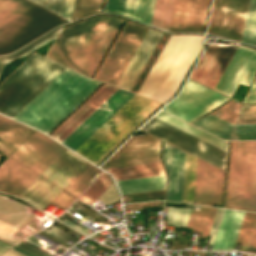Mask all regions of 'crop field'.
<instances>
[{"mask_svg": "<svg viewBox=\"0 0 256 256\" xmlns=\"http://www.w3.org/2000/svg\"><path fill=\"white\" fill-rule=\"evenodd\" d=\"M99 84L66 68L13 119L47 134Z\"/></svg>", "mask_w": 256, "mask_h": 256, "instance_id": "crop-field-1", "label": "crop field"}, {"mask_svg": "<svg viewBox=\"0 0 256 256\" xmlns=\"http://www.w3.org/2000/svg\"><path fill=\"white\" fill-rule=\"evenodd\" d=\"M203 37L170 36L138 94L161 101L174 96L202 48ZM166 98L167 102L172 97Z\"/></svg>", "mask_w": 256, "mask_h": 256, "instance_id": "crop-field-2", "label": "crop field"}, {"mask_svg": "<svg viewBox=\"0 0 256 256\" xmlns=\"http://www.w3.org/2000/svg\"><path fill=\"white\" fill-rule=\"evenodd\" d=\"M64 149L35 131L0 166V191L18 197Z\"/></svg>", "mask_w": 256, "mask_h": 256, "instance_id": "crop-field-3", "label": "crop field"}, {"mask_svg": "<svg viewBox=\"0 0 256 256\" xmlns=\"http://www.w3.org/2000/svg\"><path fill=\"white\" fill-rule=\"evenodd\" d=\"M64 69L33 54L0 85V113L12 118Z\"/></svg>", "mask_w": 256, "mask_h": 256, "instance_id": "crop-field-4", "label": "crop field"}, {"mask_svg": "<svg viewBox=\"0 0 256 256\" xmlns=\"http://www.w3.org/2000/svg\"><path fill=\"white\" fill-rule=\"evenodd\" d=\"M122 23L112 16L83 21L60 63L91 77Z\"/></svg>", "mask_w": 256, "mask_h": 256, "instance_id": "crop-field-5", "label": "crop field"}, {"mask_svg": "<svg viewBox=\"0 0 256 256\" xmlns=\"http://www.w3.org/2000/svg\"><path fill=\"white\" fill-rule=\"evenodd\" d=\"M158 104L135 95L75 152L95 164Z\"/></svg>", "mask_w": 256, "mask_h": 256, "instance_id": "crop-field-6", "label": "crop field"}, {"mask_svg": "<svg viewBox=\"0 0 256 256\" xmlns=\"http://www.w3.org/2000/svg\"><path fill=\"white\" fill-rule=\"evenodd\" d=\"M225 207L256 211V141L232 142Z\"/></svg>", "mask_w": 256, "mask_h": 256, "instance_id": "crop-field-7", "label": "crop field"}, {"mask_svg": "<svg viewBox=\"0 0 256 256\" xmlns=\"http://www.w3.org/2000/svg\"><path fill=\"white\" fill-rule=\"evenodd\" d=\"M88 164L65 149L19 197L43 210Z\"/></svg>", "mask_w": 256, "mask_h": 256, "instance_id": "crop-field-8", "label": "crop field"}, {"mask_svg": "<svg viewBox=\"0 0 256 256\" xmlns=\"http://www.w3.org/2000/svg\"><path fill=\"white\" fill-rule=\"evenodd\" d=\"M66 20L34 6L0 26V55L10 53Z\"/></svg>", "mask_w": 256, "mask_h": 256, "instance_id": "crop-field-9", "label": "crop field"}, {"mask_svg": "<svg viewBox=\"0 0 256 256\" xmlns=\"http://www.w3.org/2000/svg\"><path fill=\"white\" fill-rule=\"evenodd\" d=\"M148 28L126 21L95 79L116 86Z\"/></svg>", "mask_w": 256, "mask_h": 256, "instance_id": "crop-field-10", "label": "crop field"}, {"mask_svg": "<svg viewBox=\"0 0 256 256\" xmlns=\"http://www.w3.org/2000/svg\"><path fill=\"white\" fill-rule=\"evenodd\" d=\"M227 99L188 79L180 95L162 110L191 122Z\"/></svg>", "mask_w": 256, "mask_h": 256, "instance_id": "crop-field-11", "label": "crop field"}, {"mask_svg": "<svg viewBox=\"0 0 256 256\" xmlns=\"http://www.w3.org/2000/svg\"><path fill=\"white\" fill-rule=\"evenodd\" d=\"M249 0H214L207 33L241 40Z\"/></svg>", "mask_w": 256, "mask_h": 256, "instance_id": "crop-field-12", "label": "crop field"}, {"mask_svg": "<svg viewBox=\"0 0 256 256\" xmlns=\"http://www.w3.org/2000/svg\"><path fill=\"white\" fill-rule=\"evenodd\" d=\"M159 140L147 135L130 137L102 166V169L160 162Z\"/></svg>", "mask_w": 256, "mask_h": 256, "instance_id": "crop-field-13", "label": "crop field"}, {"mask_svg": "<svg viewBox=\"0 0 256 256\" xmlns=\"http://www.w3.org/2000/svg\"><path fill=\"white\" fill-rule=\"evenodd\" d=\"M133 96L118 89L61 144L75 151Z\"/></svg>", "mask_w": 256, "mask_h": 256, "instance_id": "crop-field-14", "label": "crop field"}, {"mask_svg": "<svg viewBox=\"0 0 256 256\" xmlns=\"http://www.w3.org/2000/svg\"><path fill=\"white\" fill-rule=\"evenodd\" d=\"M256 75V50L238 46L215 90L231 97L238 83L250 86Z\"/></svg>", "mask_w": 256, "mask_h": 256, "instance_id": "crop-field-15", "label": "crop field"}, {"mask_svg": "<svg viewBox=\"0 0 256 256\" xmlns=\"http://www.w3.org/2000/svg\"><path fill=\"white\" fill-rule=\"evenodd\" d=\"M237 46L208 44L189 78L214 89Z\"/></svg>", "mask_w": 256, "mask_h": 256, "instance_id": "crop-field-16", "label": "crop field"}, {"mask_svg": "<svg viewBox=\"0 0 256 256\" xmlns=\"http://www.w3.org/2000/svg\"><path fill=\"white\" fill-rule=\"evenodd\" d=\"M209 0H175L170 32L203 33Z\"/></svg>", "mask_w": 256, "mask_h": 256, "instance_id": "crop-field-17", "label": "crop field"}, {"mask_svg": "<svg viewBox=\"0 0 256 256\" xmlns=\"http://www.w3.org/2000/svg\"><path fill=\"white\" fill-rule=\"evenodd\" d=\"M224 172L197 159L193 203L221 205Z\"/></svg>", "mask_w": 256, "mask_h": 256, "instance_id": "crop-field-18", "label": "crop field"}, {"mask_svg": "<svg viewBox=\"0 0 256 256\" xmlns=\"http://www.w3.org/2000/svg\"><path fill=\"white\" fill-rule=\"evenodd\" d=\"M116 90L117 88L105 84L50 136L61 143Z\"/></svg>", "mask_w": 256, "mask_h": 256, "instance_id": "crop-field-19", "label": "crop field"}, {"mask_svg": "<svg viewBox=\"0 0 256 256\" xmlns=\"http://www.w3.org/2000/svg\"><path fill=\"white\" fill-rule=\"evenodd\" d=\"M185 153L164 143L163 163L168 177L166 200L181 202Z\"/></svg>", "mask_w": 256, "mask_h": 256, "instance_id": "crop-field-20", "label": "crop field"}, {"mask_svg": "<svg viewBox=\"0 0 256 256\" xmlns=\"http://www.w3.org/2000/svg\"><path fill=\"white\" fill-rule=\"evenodd\" d=\"M192 124L224 140H256V125H231L211 114Z\"/></svg>", "mask_w": 256, "mask_h": 256, "instance_id": "crop-field-21", "label": "crop field"}, {"mask_svg": "<svg viewBox=\"0 0 256 256\" xmlns=\"http://www.w3.org/2000/svg\"><path fill=\"white\" fill-rule=\"evenodd\" d=\"M155 0H106L104 12H113L146 25L151 24Z\"/></svg>", "mask_w": 256, "mask_h": 256, "instance_id": "crop-field-22", "label": "crop field"}, {"mask_svg": "<svg viewBox=\"0 0 256 256\" xmlns=\"http://www.w3.org/2000/svg\"><path fill=\"white\" fill-rule=\"evenodd\" d=\"M245 212L225 210L211 250H232Z\"/></svg>", "mask_w": 256, "mask_h": 256, "instance_id": "crop-field-23", "label": "crop field"}, {"mask_svg": "<svg viewBox=\"0 0 256 256\" xmlns=\"http://www.w3.org/2000/svg\"><path fill=\"white\" fill-rule=\"evenodd\" d=\"M97 173L101 171L88 165L52 202L62 209H66L78 195L90 184L88 183Z\"/></svg>", "mask_w": 256, "mask_h": 256, "instance_id": "crop-field-24", "label": "crop field"}, {"mask_svg": "<svg viewBox=\"0 0 256 256\" xmlns=\"http://www.w3.org/2000/svg\"><path fill=\"white\" fill-rule=\"evenodd\" d=\"M32 132L33 130L9 120L0 129V151L9 157Z\"/></svg>", "mask_w": 256, "mask_h": 256, "instance_id": "crop-field-25", "label": "crop field"}, {"mask_svg": "<svg viewBox=\"0 0 256 256\" xmlns=\"http://www.w3.org/2000/svg\"><path fill=\"white\" fill-rule=\"evenodd\" d=\"M115 181L164 175L160 163L105 170Z\"/></svg>", "mask_w": 256, "mask_h": 256, "instance_id": "crop-field-26", "label": "crop field"}, {"mask_svg": "<svg viewBox=\"0 0 256 256\" xmlns=\"http://www.w3.org/2000/svg\"><path fill=\"white\" fill-rule=\"evenodd\" d=\"M156 116H158V117H160V118H162V119H164V120L182 128V129H184L188 132H191V133H193V134H195V135H197V136H199V137H201V138H203V139H205V140H207V141H209V142H211V143H213V144H215V145H217V146L226 150V146H227L226 142H224V141H222V140H220V139H218V138H216V137H214V136H212V135H210L206 132H203V131H201V130H199V129H197V128H195V127H193V126H191V125H189L185 122H182V121H180V120H178V119H176V118H174V117H172V116H170V115H168V114H166L162 111H159L156 114ZM156 116H154V118H156V119H158V120L176 128V129H178V130H180V131H182V132H184L188 135H191V136H193V137H195V138H197V139H199V140H201V141H203V142H205V143H207V144H209V145H211V146H213V147H215V148H217V149L226 153L225 150H223V149H221V148H219V147H217V146H215V145H213V144H211V143H209V142H207V141H205V140H203V139H201V138H199V137H197L193 134H190V133H188V132H186V131H184V130H182V129H180V128H178V127H176V126H174V125H172V124H170V123H168V122H166V121H164V120H162V119H160Z\"/></svg>", "mask_w": 256, "mask_h": 256, "instance_id": "crop-field-27", "label": "crop field"}, {"mask_svg": "<svg viewBox=\"0 0 256 256\" xmlns=\"http://www.w3.org/2000/svg\"><path fill=\"white\" fill-rule=\"evenodd\" d=\"M123 194L163 190L164 177H152L117 182Z\"/></svg>", "mask_w": 256, "mask_h": 256, "instance_id": "crop-field-28", "label": "crop field"}, {"mask_svg": "<svg viewBox=\"0 0 256 256\" xmlns=\"http://www.w3.org/2000/svg\"><path fill=\"white\" fill-rule=\"evenodd\" d=\"M217 209L193 206L187 227L198 229L202 237L208 236Z\"/></svg>", "mask_w": 256, "mask_h": 256, "instance_id": "crop-field-29", "label": "crop field"}, {"mask_svg": "<svg viewBox=\"0 0 256 256\" xmlns=\"http://www.w3.org/2000/svg\"><path fill=\"white\" fill-rule=\"evenodd\" d=\"M174 0H156L152 18V27L168 31Z\"/></svg>", "mask_w": 256, "mask_h": 256, "instance_id": "crop-field-30", "label": "crop field"}, {"mask_svg": "<svg viewBox=\"0 0 256 256\" xmlns=\"http://www.w3.org/2000/svg\"><path fill=\"white\" fill-rule=\"evenodd\" d=\"M34 5L27 0H0V25Z\"/></svg>", "mask_w": 256, "mask_h": 256, "instance_id": "crop-field-31", "label": "crop field"}, {"mask_svg": "<svg viewBox=\"0 0 256 256\" xmlns=\"http://www.w3.org/2000/svg\"><path fill=\"white\" fill-rule=\"evenodd\" d=\"M196 158L186 153L182 202L192 203Z\"/></svg>", "mask_w": 256, "mask_h": 256, "instance_id": "crop-field-32", "label": "crop field"}, {"mask_svg": "<svg viewBox=\"0 0 256 256\" xmlns=\"http://www.w3.org/2000/svg\"><path fill=\"white\" fill-rule=\"evenodd\" d=\"M111 184L109 176L103 173L78 199L91 205Z\"/></svg>", "mask_w": 256, "mask_h": 256, "instance_id": "crop-field-33", "label": "crop field"}, {"mask_svg": "<svg viewBox=\"0 0 256 256\" xmlns=\"http://www.w3.org/2000/svg\"><path fill=\"white\" fill-rule=\"evenodd\" d=\"M241 42L256 46V0H250Z\"/></svg>", "mask_w": 256, "mask_h": 256, "instance_id": "crop-field-34", "label": "crop field"}, {"mask_svg": "<svg viewBox=\"0 0 256 256\" xmlns=\"http://www.w3.org/2000/svg\"><path fill=\"white\" fill-rule=\"evenodd\" d=\"M191 209H181L169 207L167 211L166 223L176 227H185Z\"/></svg>", "mask_w": 256, "mask_h": 256, "instance_id": "crop-field-35", "label": "crop field"}, {"mask_svg": "<svg viewBox=\"0 0 256 256\" xmlns=\"http://www.w3.org/2000/svg\"><path fill=\"white\" fill-rule=\"evenodd\" d=\"M255 218H256V214L246 212L237 241H236L238 243H242L239 250H242V251L245 250Z\"/></svg>", "mask_w": 256, "mask_h": 256, "instance_id": "crop-field-36", "label": "crop field"}, {"mask_svg": "<svg viewBox=\"0 0 256 256\" xmlns=\"http://www.w3.org/2000/svg\"><path fill=\"white\" fill-rule=\"evenodd\" d=\"M75 25L76 24H73L62 29L61 33L59 34L58 38L56 39L55 43L51 47L46 57L55 61L56 57L58 56L60 50L62 49Z\"/></svg>", "mask_w": 256, "mask_h": 256, "instance_id": "crop-field-37", "label": "crop field"}, {"mask_svg": "<svg viewBox=\"0 0 256 256\" xmlns=\"http://www.w3.org/2000/svg\"><path fill=\"white\" fill-rule=\"evenodd\" d=\"M59 15L62 14L64 0H31Z\"/></svg>", "mask_w": 256, "mask_h": 256, "instance_id": "crop-field-38", "label": "crop field"}, {"mask_svg": "<svg viewBox=\"0 0 256 256\" xmlns=\"http://www.w3.org/2000/svg\"><path fill=\"white\" fill-rule=\"evenodd\" d=\"M103 0H75L74 7L101 10Z\"/></svg>", "mask_w": 256, "mask_h": 256, "instance_id": "crop-field-39", "label": "crop field"}, {"mask_svg": "<svg viewBox=\"0 0 256 256\" xmlns=\"http://www.w3.org/2000/svg\"><path fill=\"white\" fill-rule=\"evenodd\" d=\"M45 232H47V233L65 241V242H68V240L73 242V243H76V242L80 241V239H77V238L69 235L68 233L56 228L55 226L46 230Z\"/></svg>", "mask_w": 256, "mask_h": 256, "instance_id": "crop-field-40", "label": "crop field"}, {"mask_svg": "<svg viewBox=\"0 0 256 256\" xmlns=\"http://www.w3.org/2000/svg\"><path fill=\"white\" fill-rule=\"evenodd\" d=\"M223 211H224V210H221V209H218V210H217V213H216L214 222H213V224H212V227H211V230H210V233H209V235L212 236L210 245H212L213 240H214V238H215V235H216V233H217V230H218V227H219V224H220V220H221Z\"/></svg>", "mask_w": 256, "mask_h": 256, "instance_id": "crop-field-41", "label": "crop field"}, {"mask_svg": "<svg viewBox=\"0 0 256 256\" xmlns=\"http://www.w3.org/2000/svg\"><path fill=\"white\" fill-rule=\"evenodd\" d=\"M255 247H256V221H255V224H254V227H253V230H252V233H251V236H250V239H249V242H248L245 252L253 254Z\"/></svg>", "mask_w": 256, "mask_h": 256, "instance_id": "crop-field-42", "label": "crop field"}, {"mask_svg": "<svg viewBox=\"0 0 256 256\" xmlns=\"http://www.w3.org/2000/svg\"><path fill=\"white\" fill-rule=\"evenodd\" d=\"M252 86H254L256 88V80L254 81ZM252 86H251L248 94L246 95L243 103H256V89Z\"/></svg>", "mask_w": 256, "mask_h": 256, "instance_id": "crop-field-43", "label": "crop field"}, {"mask_svg": "<svg viewBox=\"0 0 256 256\" xmlns=\"http://www.w3.org/2000/svg\"><path fill=\"white\" fill-rule=\"evenodd\" d=\"M73 0H65L62 16L69 19L71 18Z\"/></svg>", "mask_w": 256, "mask_h": 256, "instance_id": "crop-field-44", "label": "crop field"}, {"mask_svg": "<svg viewBox=\"0 0 256 256\" xmlns=\"http://www.w3.org/2000/svg\"><path fill=\"white\" fill-rule=\"evenodd\" d=\"M15 246H17V247H19V248H21V249H23V250H25V251L35 255V256H48V255H45V254H43V253H41V252H39V251H37V250H35L33 248H31V247L21 243V242L17 243Z\"/></svg>", "mask_w": 256, "mask_h": 256, "instance_id": "crop-field-45", "label": "crop field"}, {"mask_svg": "<svg viewBox=\"0 0 256 256\" xmlns=\"http://www.w3.org/2000/svg\"><path fill=\"white\" fill-rule=\"evenodd\" d=\"M82 22L77 23L76 27L74 28L72 34L70 35L69 39L67 40L66 44L64 45L63 49L61 50L59 56L57 57L56 61L59 62L60 58L62 57L63 53L65 52L66 48L68 47L70 41L72 40L73 36L75 35L76 31L78 30L79 26Z\"/></svg>", "mask_w": 256, "mask_h": 256, "instance_id": "crop-field-46", "label": "crop field"}, {"mask_svg": "<svg viewBox=\"0 0 256 256\" xmlns=\"http://www.w3.org/2000/svg\"><path fill=\"white\" fill-rule=\"evenodd\" d=\"M158 203H159V202L145 203V204H137V205H129V206H125V208H126V209H130V208L154 206V205H158Z\"/></svg>", "mask_w": 256, "mask_h": 256, "instance_id": "crop-field-47", "label": "crop field"}, {"mask_svg": "<svg viewBox=\"0 0 256 256\" xmlns=\"http://www.w3.org/2000/svg\"><path fill=\"white\" fill-rule=\"evenodd\" d=\"M60 217H62V218H64V219H66V220L72 222L73 224H75V225H77V226H79V227H81V228H83V229H85V230L87 229L84 225H82V224H80V223L74 221L73 219H71V218H69V217H67V216H65V215H63V214H62Z\"/></svg>", "mask_w": 256, "mask_h": 256, "instance_id": "crop-field-48", "label": "crop field"}, {"mask_svg": "<svg viewBox=\"0 0 256 256\" xmlns=\"http://www.w3.org/2000/svg\"><path fill=\"white\" fill-rule=\"evenodd\" d=\"M3 256H24L12 249H10L9 251H7Z\"/></svg>", "mask_w": 256, "mask_h": 256, "instance_id": "crop-field-49", "label": "crop field"}, {"mask_svg": "<svg viewBox=\"0 0 256 256\" xmlns=\"http://www.w3.org/2000/svg\"><path fill=\"white\" fill-rule=\"evenodd\" d=\"M9 248H11V246L6 245V244L0 242V255H2Z\"/></svg>", "mask_w": 256, "mask_h": 256, "instance_id": "crop-field-50", "label": "crop field"}, {"mask_svg": "<svg viewBox=\"0 0 256 256\" xmlns=\"http://www.w3.org/2000/svg\"><path fill=\"white\" fill-rule=\"evenodd\" d=\"M26 240H28V241H30V242H32V243H35V244H37V245H39V246H43L42 244H39V243H37V238H35V237H33V236H30V237H28V238H26Z\"/></svg>", "mask_w": 256, "mask_h": 256, "instance_id": "crop-field-51", "label": "crop field"}, {"mask_svg": "<svg viewBox=\"0 0 256 256\" xmlns=\"http://www.w3.org/2000/svg\"><path fill=\"white\" fill-rule=\"evenodd\" d=\"M8 121V119L0 116V128Z\"/></svg>", "mask_w": 256, "mask_h": 256, "instance_id": "crop-field-52", "label": "crop field"}, {"mask_svg": "<svg viewBox=\"0 0 256 256\" xmlns=\"http://www.w3.org/2000/svg\"><path fill=\"white\" fill-rule=\"evenodd\" d=\"M12 249H14V250H16V251H18V252H20V253L26 255V256H31V255H29V254H27V253H25V252H23V251H21V250L15 248V247H13Z\"/></svg>", "mask_w": 256, "mask_h": 256, "instance_id": "crop-field-53", "label": "crop field"}, {"mask_svg": "<svg viewBox=\"0 0 256 256\" xmlns=\"http://www.w3.org/2000/svg\"><path fill=\"white\" fill-rule=\"evenodd\" d=\"M97 175H98V174H97ZM97 175H96V176H97ZM96 176H95V177H96ZM95 177H94V178H95ZM94 178H93V179H94ZM93 179H92V180H93ZM92 180H91V181H92ZM91 181H90V182H91Z\"/></svg>", "mask_w": 256, "mask_h": 256, "instance_id": "crop-field-54", "label": "crop field"}, {"mask_svg": "<svg viewBox=\"0 0 256 256\" xmlns=\"http://www.w3.org/2000/svg\"><path fill=\"white\" fill-rule=\"evenodd\" d=\"M254 254H256V250H255V253Z\"/></svg>", "mask_w": 256, "mask_h": 256, "instance_id": "crop-field-55", "label": "crop field"}]
</instances>
